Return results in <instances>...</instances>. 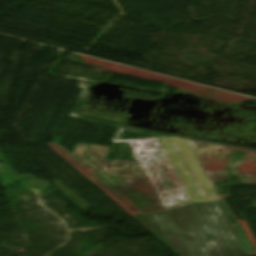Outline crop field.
I'll return each mask as SVG.
<instances>
[{
	"instance_id": "obj_10",
	"label": "crop field",
	"mask_w": 256,
	"mask_h": 256,
	"mask_svg": "<svg viewBox=\"0 0 256 256\" xmlns=\"http://www.w3.org/2000/svg\"><path fill=\"white\" fill-rule=\"evenodd\" d=\"M234 226H235L236 230L238 231L240 237L242 238L243 242L245 243L247 249L249 250L251 256H254L255 253H254V251H253V249H252V247H251V245H250V243H249L241 225L240 224H234Z\"/></svg>"
},
{
	"instance_id": "obj_13",
	"label": "crop field",
	"mask_w": 256,
	"mask_h": 256,
	"mask_svg": "<svg viewBox=\"0 0 256 256\" xmlns=\"http://www.w3.org/2000/svg\"><path fill=\"white\" fill-rule=\"evenodd\" d=\"M132 144H159L157 138L130 140Z\"/></svg>"
},
{
	"instance_id": "obj_14",
	"label": "crop field",
	"mask_w": 256,
	"mask_h": 256,
	"mask_svg": "<svg viewBox=\"0 0 256 256\" xmlns=\"http://www.w3.org/2000/svg\"><path fill=\"white\" fill-rule=\"evenodd\" d=\"M193 203L219 200L218 197L191 198Z\"/></svg>"
},
{
	"instance_id": "obj_3",
	"label": "crop field",
	"mask_w": 256,
	"mask_h": 256,
	"mask_svg": "<svg viewBox=\"0 0 256 256\" xmlns=\"http://www.w3.org/2000/svg\"><path fill=\"white\" fill-rule=\"evenodd\" d=\"M160 199L188 197L161 145H133Z\"/></svg>"
},
{
	"instance_id": "obj_11",
	"label": "crop field",
	"mask_w": 256,
	"mask_h": 256,
	"mask_svg": "<svg viewBox=\"0 0 256 256\" xmlns=\"http://www.w3.org/2000/svg\"><path fill=\"white\" fill-rule=\"evenodd\" d=\"M159 141L161 144H189L188 140L176 137L162 138Z\"/></svg>"
},
{
	"instance_id": "obj_4",
	"label": "crop field",
	"mask_w": 256,
	"mask_h": 256,
	"mask_svg": "<svg viewBox=\"0 0 256 256\" xmlns=\"http://www.w3.org/2000/svg\"><path fill=\"white\" fill-rule=\"evenodd\" d=\"M189 197L216 196L191 145H162ZM218 196V195H217Z\"/></svg>"
},
{
	"instance_id": "obj_1",
	"label": "crop field",
	"mask_w": 256,
	"mask_h": 256,
	"mask_svg": "<svg viewBox=\"0 0 256 256\" xmlns=\"http://www.w3.org/2000/svg\"><path fill=\"white\" fill-rule=\"evenodd\" d=\"M142 218L188 256H250L220 201L191 204Z\"/></svg>"
},
{
	"instance_id": "obj_9",
	"label": "crop field",
	"mask_w": 256,
	"mask_h": 256,
	"mask_svg": "<svg viewBox=\"0 0 256 256\" xmlns=\"http://www.w3.org/2000/svg\"><path fill=\"white\" fill-rule=\"evenodd\" d=\"M163 204L165 205L167 211L184 206L187 204H191V201L189 198H182V199H168V200H162Z\"/></svg>"
},
{
	"instance_id": "obj_5",
	"label": "crop field",
	"mask_w": 256,
	"mask_h": 256,
	"mask_svg": "<svg viewBox=\"0 0 256 256\" xmlns=\"http://www.w3.org/2000/svg\"><path fill=\"white\" fill-rule=\"evenodd\" d=\"M232 150L247 152L243 161L230 156ZM219 171L224 180L256 178V152L229 147L220 166Z\"/></svg>"
},
{
	"instance_id": "obj_7",
	"label": "crop field",
	"mask_w": 256,
	"mask_h": 256,
	"mask_svg": "<svg viewBox=\"0 0 256 256\" xmlns=\"http://www.w3.org/2000/svg\"><path fill=\"white\" fill-rule=\"evenodd\" d=\"M132 216L166 211L161 200L116 203Z\"/></svg>"
},
{
	"instance_id": "obj_2",
	"label": "crop field",
	"mask_w": 256,
	"mask_h": 256,
	"mask_svg": "<svg viewBox=\"0 0 256 256\" xmlns=\"http://www.w3.org/2000/svg\"><path fill=\"white\" fill-rule=\"evenodd\" d=\"M114 202L159 199L132 145H46Z\"/></svg>"
},
{
	"instance_id": "obj_12",
	"label": "crop field",
	"mask_w": 256,
	"mask_h": 256,
	"mask_svg": "<svg viewBox=\"0 0 256 256\" xmlns=\"http://www.w3.org/2000/svg\"><path fill=\"white\" fill-rule=\"evenodd\" d=\"M84 143L102 144V145H111V144H131L129 140L97 141V142H84Z\"/></svg>"
},
{
	"instance_id": "obj_8",
	"label": "crop field",
	"mask_w": 256,
	"mask_h": 256,
	"mask_svg": "<svg viewBox=\"0 0 256 256\" xmlns=\"http://www.w3.org/2000/svg\"><path fill=\"white\" fill-rule=\"evenodd\" d=\"M137 219L142 225H144L148 230H150L155 236H157L163 243H165L171 250H173L178 256H187L177 245H175L173 242H171L169 239H167L165 236L160 234L158 231H156L154 228H152L150 225L145 223L141 216L134 217Z\"/></svg>"
},
{
	"instance_id": "obj_15",
	"label": "crop field",
	"mask_w": 256,
	"mask_h": 256,
	"mask_svg": "<svg viewBox=\"0 0 256 256\" xmlns=\"http://www.w3.org/2000/svg\"><path fill=\"white\" fill-rule=\"evenodd\" d=\"M189 142H190V144H208V143H202V142H196V141H190V140H189Z\"/></svg>"
},
{
	"instance_id": "obj_6",
	"label": "crop field",
	"mask_w": 256,
	"mask_h": 256,
	"mask_svg": "<svg viewBox=\"0 0 256 256\" xmlns=\"http://www.w3.org/2000/svg\"><path fill=\"white\" fill-rule=\"evenodd\" d=\"M210 182L223 180L218 165L228 146L224 145H192Z\"/></svg>"
}]
</instances>
